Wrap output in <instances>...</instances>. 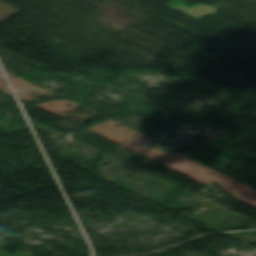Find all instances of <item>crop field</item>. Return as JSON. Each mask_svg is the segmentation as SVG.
Segmentation results:
<instances>
[{"instance_id": "2", "label": "crop field", "mask_w": 256, "mask_h": 256, "mask_svg": "<svg viewBox=\"0 0 256 256\" xmlns=\"http://www.w3.org/2000/svg\"><path fill=\"white\" fill-rule=\"evenodd\" d=\"M3 20H5V18H3V17L0 16V22L3 21Z\"/></svg>"}, {"instance_id": "1", "label": "crop field", "mask_w": 256, "mask_h": 256, "mask_svg": "<svg viewBox=\"0 0 256 256\" xmlns=\"http://www.w3.org/2000/svg\"><path fill=\"white\" fill-rule=\"evenodd\" d=\"M21 10L0 1V15L7 18Z\"/></svg>"}]
</instances>
